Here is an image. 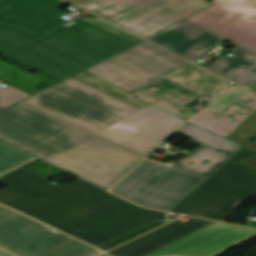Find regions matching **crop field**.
<instances>
[{"label": "crop field", "instance_id": "3316defc", "mask_svg": "<svg viewBox=\"0 0 256 256\" xmlns=\"http://www.w3.org/2000/svg\"><path fill=\"white\" fill-rule=\"evenodd\" d=\"M187 63L142 41L85 71L131 92Z\"/></svg>", "mask_w": 256, "mask_h": 256}, {"label": "crop field", "instance_id": "22f410ed", "mask_svg": "<svg viewBox=\"0 0 256 256\" xmlns=\"http://www.w3.org/2000/svg\"><path fill=\"white\" fill-rule=\"evenodd\" d=\"M224 91L189 122L226 137L256 110L255 94L236 85Z\"/></svg>", "mask_w": 256, "mask_h": 256}, {"label": "crop field", "instance_id": "92a150f3", "mask_svg": "<svg viewBox=\"0 0 256 256\" xmlns=\"http://www.w3.org/2000/svg\"><path fill=\"white\" fill-rule=\"evenodd\" d=\"M27 96V94L16 90L10 86H7L5 88L0 86V111L19 102L21 99Z\"/></svg>", "mask_w": 256, "mask_h": 256}, {"label": "crop field", "instance_id": "f4fd0767", "mask_svg": "<svg viewBox=\"0 0 256 256\" xmlns=\"http://www.w3.org/2000/svg\"><path fill=\"white\" fill-rule=\"evenodd\" d=\"M73 77L138 109L151 103L184 120L195 112L185 104L203 95L212 98L229 83L191 63L131 93L85 71Z\"/></svg>", "mask_w": 256, "mask_h": 256}, {"label": "crop field", "instance_id": "730fd06b", "mask_svg": "<svg viewBox=\"0 0 256 256\" xmlns=\"http://www.w3.org/2000/svg\"><path fill=\"white\" fill-rule=\"evenodd\" d=\"M0 256H13V255H11V254H9V253L0 249Z\"/></svg>", "mask_w": 256, "mask_h": 256}, {"label": "crop field", "instance_id": "8a807250", "mask_svg": "<svg viewBox=\"0 0 256 256\" xmlns=\"http://www.w3.org/2000/svg\"><path fill=\"white\" fill-rule=\"evenodd\" d=\"M0 179L11 184L0 190V203L93 246L165 214L137 207L78 178L57 188L21 167Z\"/></svg>", "mask_w": 256, "mask_h": 256}, {"label": "crop field", "instance_id": "d3111659", "mask_svg": "<svg viewBox=\"0 0 256 256\" xmlns=\"http://www.w3.org/2000/svg\"><path fill=\"white\" fill-rule=\"evenodd\" d=\"M105 256H108V255H105Z\"/></svg>", "mask_w": 256, "mask_h": 256}, {"label": "crop field", "instance_id": "00972430", "mask_svg": "<svg viewBox=\"0 0 256 256\" xmlns=\"http://www.w3.org/2000/svg\"><path fill=\"white\" fill-rule=\"evenodd\" d=\"M243 145L256 151V138L243 144ZM241 162L256 168V156L252 157V158L245 159V160H241Z\"/></svg>", "mask_w": 256, "mask_h": 256}, {"label": "crop field", "instance_id": "412701ff", "mask_svg": "<svg viewBox=\"0 0 256 256\" xmlns=\"http://www.w3.org/2000/svg\"><path fill=\"white\" fill-rule=\"evenodd\" d=\"M36 37L0 24V54L60 81L134 45L76 18Z\"/></svg>", "mask_w": 256, "mask_h": 256}, {"label": "crop field", "instance_id": "d8731c3e", "mask_svg": "<svg viewBox=\"0 0 256 256\" xmlns=\"http://www.w3.org/2000/svg\"><path fill=\"white\" fill-rule=\"evenodd\" d=\"M204 179L145 159L111 192L142 206L168 211Z\"/></svg>", "mask_w": 256, "mask_h": 256}, {"label": "crop field", "instance_id": "a9b5d70f", "mask_svg": "<svg viewBox=\"0 0 256 256\" xmlns=\"http://www.w3.org/2000/svg\"><path fill=\"white\" fill-rule=\"evenodd\" d=\"M213 57L212 56H210L208 53H205V54H203L199 59H202V60H205L203 63H201V64H199V63H197V64H199V65H201V66H203V67H205L208 63H209V61L212 59ZM196 63V62H195Z\"/></svg>", "mask_w": 256, "mask_h": 256}, {"label": "crop field", "instance_id": "34b2d1b8", "mask_svg": "<svg viewBox=\"0 0 256 256\" xmlns=\"http://www.w3.org/2000/svg\"><path fill=\"white\" fill-rule=\"evenodd\" d=\"M24 102L143 157L184 122L150 104L138 110L73 77Z\"/></svg>", "mask_w": 256, "mask_h": 256}, {"label": "crop field", "instance_id": "bc2a9ffb", "mask_svg": "<svg viewBox=\"0 0 256 256\" xmlns=\"http://www.w3.org/2000/svg\"><path fill=\"white\" fill-rule=\"evenodd\" d=\"M35 158L0 141V175Z\"/></svg>", "mask_w": 256, "mask_h": 256}, {"label": "crop field", "instance_id": "4a817a6b", "mask_svg": "<svg viewBox=\"0 0 256 256\" xmlns=\"http://www.w3.org/2000/svg\"><path fill=\"white\" fill-rule=\"evenodd\" d=\"M229 58L219 55L207 69L244 87L256 78V54L238 45Z\"/></svg>", "mask_w": 256, "mask_h": 256}, {"label": "crop field", "instance_id": "ac0d7876", "mask_svg": "<svg viewBox=\"0 0 256 256\" xmlns=\"http://www.w3.org/2000/svg\"><path fill=\"white\" fill-rule=\"evenodd\" d=\"M0 140L105 189L142 159L22 102L0 112Z\"/></svg>", "mask_w": 256, "mask_h": 256}, {"label": "crop field", "instance_id": "dd49c442", "mask_svg": "<svg viewBox=\"0 0 256 256\" xmlns=\"http://www.w3.org/2000/svg\"><path fill=\"white\" fill-rule=\"evenodd\" d=\"M255 155L244 147L171 211L223 221L250 193L256 195V169L238 161Z\"/></svg>", "mask_w": 256, "mask_h": 256}, {"label": "crop field", "instance_id": "cbeb9de0", "mask_svg": "<svg viewBox=\"0 0 256 256\" xmlns=\"http://www.w3.org/2000/svg\"><path fill=\"white\" fill-rule=\"evenodd\" d=\"M178 132L202 143L188 158L176 167L208 177L242 146L187 122ZM177 132V133H178Z\"/></svg>", "mask_w": 256, "mask_h": 256}, {"label": "crop field", "instance_id": "4177f3b9", "mask_svg": "<svg viewBox=\"0 0 256 256\" xmlns=\"http://www.w3.org/2000/svg\"><path fill=\"white\" fill-rule=\"evenodd\" d=\"M66 1H68V2H70V3H72V4H74V5H76V4H78V3H80V2H82V1H84V0H66Z\"/></svg>", "mask_w": 256, "mask_h": 256}, {"label": "crop field", "instance_id": "733c2abd", "mask_svg": "<svg viewBox=\"0 0 256 256\" xmlns=\"http://www.w3.org/2000/svg\"><path fill=\"white\" fill-rule=\"evenodd\" d=\"M180 221L177 219L108 253L113 256H144L213 222L195 218Z\"/></svg>", "mask_w": 256, "mask_h": 256}, {"label": "crop field", "instance_id": "5142ce71", "mask_svg": "<svg viewBox=\"0 0 256 256\" xmlns=\"http://www.w3.org/2000/svg\"><path fill=\"white\" fill-rule=\"evenodd\" d=\"M60 0H0V22L17 25L40 35L66 22L58 7Z\"/></svg>", "mask_w": 256, "mask_h": 256}, {"label": "crop field", "instance_id": "dafd665d", "mask_svg": "<svg viewBox=\"0 0 256 256\" xmlns=\"http://www.w3.org/2000/svg\"><path fill=\"white\" fill-rule=\"evenodd\" d=\"M162 223H164V222H161V221H158V220L153 221V222H151V223H149V224H147V225H145V226H143L139 229H136V230H134V231L118 238V239H115V240H113V241H111V242H109V243H107V244H105V245H103L99 248L104 250V251L108 250V249H110V248H112V247H114V246H116V245H118V244H120L124 241H127V240H129V239H131V238H133V237H135V236H137V235H139V234H141L145 231H148V230H150V229H152V228H154V227H156V226H158Z\"/></svg>", "mask_w": 256, "mask_h": 256}, {"label": "crop field", "instance_id": "5a996713", "mask_svg": "<svg viewBox=\"0 0 256 256\" xmlns=\"http://www.w3.org/2000/svg\"><path fill=\"white\" fill-rule=\"evenodd\" d=\"M0 205V247L19 256H96L101 252Z\"/></svg>", "mask_w": 256, "mask_h": 256}, {"label": "crop field", "instance_id": "d9b57169", "mask_svg": "<svg viewBox=\"0 0 256 256\" xmlns=\"http://www.w3.org/2000/svg\"><path fill=\"white\" fill-rule=\"evenodd\" d=\"M146 40L161 46L190 61L197 58L203 51L217 45L222 47L234 45L222 42L227 41L215 36L185 20L147 38Z\"/></svg>", "mask_w": 256, "mask_h": 256}, {"label": "crop field", "instance_id": "28ad6ade", "mask_svg": "<svg viewBox=\"0 0 256 256\" xmlns=\"http://www.w3.org/2000/svg\"><path fill=\"white\" fill-rule=\"evenodd\" d=\"M214 6L186 19L256 52V0H214Z\"/></svg>", "mask_w": 256, "mask_h": 256}, {"label": "crop field", "instance_id": "e52e79f7", "mask_svg": "<svg viewBox=\"0 0 256 256\" xmlns=\"http://www.w3.org/2000/svg\"><path fill=\"white\" fill-rule=\"evenodd\" d=\"M211 5L205 0H91L79 7L145 39Z\"/></svg>", "mask_w": 256, "mask_h": 256}, {"label": "crop field", "instance_id": "d1516ede", "mask_svg": "<svg viewBox=\"0 0 256 256\" xmlns=\"http://www.w3.org/2000/svg\"><path fill=\"white\" fill-rule=\"evenodd\" d=\"M255 234V229L214 222L146 256H216Z\"/></svg>", "mask_w": 256, "mask_h": 256}, {"label": "crop field", "instance_id": "ae1a2a85", "mask_svg": "<svg viewBox=\"0 0 256 256\" xmlns=\"http://www.w3.org/2000/svg\"><path fill=\"white\" fill-rule=\"evenodd\" d=\"M245 1L249 2V1H252V0H245Z\"/></svg>", "mask_w": 256, "mask_h": 256}, {"label": "crop field", "instance_id": "eef30255", "mask_svg": "<svg viewBox=\"0 0 256 256\" xmlns=\"http://www.w3.org/2000/svg\"><path fill=\"white\" fill-rule=\"evenodd\" d=\"M250 89L256 91V83Z\"/></svg>", "mask_w": 256, "mask_h": 256}, {"label": "crop field", "instance_id": "214f88e0", "mask_svg": "<svg viewBox=\"0 0 256 256\" xmlns=\"http://www.w3.org/2000/svg\"><path fill=\"white\" fill-rule=\"evenodd\" d=\"M256 137V113L228 138L243 144Z\"/></svg>", "mask_w": 256, "mask_h": 256}]
</instances>
